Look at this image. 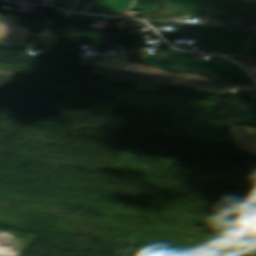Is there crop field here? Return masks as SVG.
<instances>
[{
    "instance_id": "obj_15",
    "label": "crop field",
    "mask_w": 256,
    "mask_h": 256,
    "mask_svg": "<svg viewBox=\"0 0 256 256\" xmlns=\"http://www.w3.org/2000/svg\"><path fill=\"white\" fill-rule=\"evenodd\" d=\"M254 76H256V67L245 66Z\"/></svg>"
},
{
    "instance_id": "obj_8",
    "label": "crop field",
    "mask_w": 256,
    "mask_h": 256,
    "mask_svg": "<svg viewBox=\"0 0 256 256\" xmlns=\"http://www.w3.org/2000/svg\"><path fill=\"white\" fill-rule=\"evenodd\" d=\"M132 2L133 0H98L92 13L122 16Z\"/></svg>"
},
{
    "instance_id": "obj_16",
    "label": "crop field",
    "mask_w": 256,
    "mask_h": 256,
    "mask_svg": "<svg viewBox=\"0 0 256 256\" xmlns=\"http://www.w3.org/2000/svg\"><path fill=\"white\" fill-rule=\"evenodd\" d=\"M10 1L25 3V4H30V2H31V0H10Z\"/></svg>"
},
{
    "instance_id": "obj_6",
    "label": "crop field",
    "mask_w": 256,
    "mask_h": 256,
    "mask_svg": "<svg viewBox=\"0 0 256 256\" xmlns=\"http://www.w3.org/2000/svg\"><path fill=\"white\" fill-rule=\"evenodd\" d=\"M232 129L229 132L240 152H251L256 156V129L229 125Z\"/></svg>"
},
{
    "instance_id": "obj_11",
    "label": "crop field",
    "mask_w": 256,
    "mask_h": 256,
    "mask_svg": "<svg viewBox=\"0 0 256 256\" xmlns=\"http://www.w3.org/2000/svg\"><path fill=\"white\" fill-rule=\"evenodd\" d=\"M174 47L179 48V49H183V50H187L192 48V46H188V45H184V44H179V43H171Z\"/></svg>"
},
{
    "instance_id": "obj_3",
    "label": "crop field",
    "mask_w": 256,
    "mask_h": 256,
    "mask_svg": "<svg viewBox=\"0 0 256 256\" xmlns=\"http://www.w3.org/2000/svg\"><path fill=\"white\" fill-rule=\"evenodd\" d=\"M145 63L175 71L196 70L211 75L215 81H224L229 78H239L245 85L255 86L247 74L236 64L199 62L169 58H149Z\"/></svg>"
},
{
    "instance_id": "obj_5",
    "label": "crop field",
    "mask_w": 256,
    "mask_h": 256,
    "mask_svg": "<svg viewBox=\"0 0 256 256\" xmlns=\"http://www.w3.org/2000/svg\"><path fill=\"white\" fill-rule=\"evenodd\" d=\"M176 16L203 19L206 24L256 29V13L231 11L229 15L180 10Z\"/></svg>"
},
{
    "instance_id": "obj_1",
    "label": "crop field",
    "mask_w": 256,
    "mask_h": 256,
    "mask_svg": "<svg viewBox=\"0 0 256 256\" xmlns=\"http://www.w3.org/2000/svg\"><path fill=\"white\" fill-rule=\"evenodd\" d=\"M95 75L105 76L108 81L138 85L136 90L158 92L162 85L186 87L195 92L225 96L233 90L239 89V84H216L213 82L164 77L148 74H140L128 71L94 68Z\"/></svg>"
},
{
    "instance_id": "obj_9",
    "label": "crop field",
    "mask_w": 256,
    "mask_h": 256,
    "mask_svg": "<svg viewBox=\"0 0 256 256\" xmlns=\"http://www.w3.org/2000/svg\"><path fill=\"white\" fill-rule=\"evenodd\" d=\"M106 17L102 16H91V15H81L77 14L73 17L72 20L80 21L82 23H93L96 20L104 21Z\"/></svg>"
},
{
    "instance_id": "obj_18",
    "label": "crop field",
    "mask_w": 256,
    "mask_h": 256,
    "mask_svg": "<svg viewBox=\"0 0 256 256\" xmlns=\"http://www.w3.org/2000/svg\"><path fill=\"white\" fill-rule=\"evenodd\" d=\"M243 88H254V87H250V86H244Z\"/></svg>"
},
{
    "instance_id": "obj_13",
    "label": "crop field",
    "mask_w": 256,
    "mask_h": 256,
    "mask_svg": "<svg viewBox=\"0 0 256 256\" xmlns=\"http://www.w3.org/2000/svg\"><path fill=\"white\" fill-rule=\"evenodd\" d=\"M118 19H119V18L108 17L107 20L105 21V23L112 24V23H114L115 21H117Z\"/></svg>"
},
{
    "instance_id": "obj_12",
    "label": "crop field",
    "mask_w": 256,
    "mask_h": 256,
    "mask_svg": "<svg viewBox=\"0 0 256 256\" xmlns=\"http://www.w3.org/2000/svg\"><path fill=\"white\" fill-rule=\"evenodd\" d=\"M163 15L148 13L145 18L160 19Z\"/></svg>"
},
{
    "instance_id": "obj_14",
    "label": "crop field",
    "mask_w": 256,
    "mask_h": 256,
    "mask_svg": "<svg viewBox=\"0 0 256 256\" xmlns=\"http://www.w3.org/2000/svg\"><path fill=\"white\" fill-rule=\"evenodd\" d=\"M244 92L252 95L253 98L256 100V90H244Z\"/></svg>"
},
{
    "instance_id": "obj_17",
    "label": "crop field",
    "mask_w": 256,
    "mask_h": 256,
    "mask_svg": "<svg viewBox=\"0 0 256 256\" xmlns=\"http://www.w3.org/2000/svg\"><path fill=\"white\" fill-rule=\"evenodd\" d=\"M233 1H243V2H253V3H256V0H233Z\"/></svg>"
},
{
    "instance_id": "obj_10",
    "label": "crop field",
    "mask_w": 256,
    "mask_h": 256,
    "mask_svg": "<svg viewBox=\"0 0 256 256\" xmlns=\"http://www.w3.org/2000/svg\"><path fill=\"white\" fill-rule=\"evenodd\" d=\"M245 56L256 57V44L250 46Z\"/></svg>"
},
{
    "instance_id": "obj_4",
    "label": "crop field",
    "mask_w": 256,
    "mask_h": 256,
    "mask_svg": "<svg viewBox=\"0 0 256 256\" xmlns=\"http://www.w3.org/2000/svg\"><path fill=\"white\" fill-rule=\"evenodd\" d=\"M155 25H171L178 26L176 32L159 31L162 36L165 35H182V36H195L202 38L256 43V31L254 30H243V29H229L159 21H148Z\"/></svg>"
},
{
    "instance_id": "obj_2",
    "label": "crop field",
    "mask_w": 256,
    "mask_h": 256,
    "mask_svg": "<svg viewBox=\"0 0 256 256\" xmlns=\"http://www.w3.org/2000/svg\"><path fill=\"white\" fill-rule=\"evenodd\" d=\"M180 9L228 14L230 10L256 12V4L220 0H136L132 10L176 15Z\"/></svg>"
},
{
    "instance_id": "obj_7",
    "label": "crop field",
    "mask_w": 256,
    "mask_h": 256,
    "mask_svg": "<svg viewBox=\"0 0 256 256\" xmlns=\"http://www.w3.org/2000/svg\"><path fill=\"white\" fill-rule=\"evenodd\" d=\"M191 38L205 41L200 51H213L218 53H231L235 55H242L246 48L250 45L247 43L210 40L195 37Z\"/></svg>"
}]
</instances>
